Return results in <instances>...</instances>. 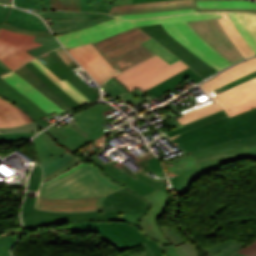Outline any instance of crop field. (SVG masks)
Masks as SVG:
<instances>
[{
  "mask_svg": "<svg viewBox=\"0 0 256 256\" xmlns=\"http://www.w3.org/2000/svg\"><path fill=\"white\" fill-rule=\"evenodd\" d=\"M99 153L86 161L99 167L104 177L123 189L106 196L101 210L73 214L33 209L36 197L29 198L30 192H27L22 210L25 228L38 229L67 222L69 233L97 232L100 239L119 252L143 244L145 252L136 256H165L159 245L171 243L158 229L157 220L170 201L169 189L164 179L155 180L143 173L152 171L164 175L160 161L154 154L139 159L129 153L141 168L133 173L123 166L138 177L135 179L120 167L122 163L110 156L112 160L104 163L97 157Z\"/></svg>",
  "mask_w": 256,
  "mask_h": 256,
  "instance_id": "obj_1",
  "label": "crop field"
},
{
  "mask_svg": "<svg viewBox=\"0 0 256 256\" xmlns=\"http://www.w3.org/2000/svg\"><path fill=\"white\" fill-rule=\"evenodd\" d=\"M179 133L181 135L172 142L193 155L197 162L167 174L180 197L201 175L248 157L256 159V108L231 119L221 110L167 135L171 137Z\"/></svg>",
  "mask_w": 256,
  "mask_h": 256,
  "instance_id": "obj_2",
  "label": "crop field"
},
{
  "mask_svg": "<svg viewBox=\"0 0 256 256\" xmlns=\"http://www.w3.org/2000/svg\"><path fill=\"white\" fill-rule=\"evenodd\" d=\"M217 17H221L219 12L196 13L134 21H124L114 18L82 30L58 35L57 37L66 48H70L90 42L94 43L135 26L162 23L172 36L218 71L232 63L209 45L187 22Z\"/></svg>",
  "mask_w": 256,
  "mask_h": 256,
  "instance_id": "obj_3",
  "label": "crop field"
},
{
  "mask_svg": "<svg viewBox=\"0 0 256 256\" xmlns=\"http://www.w3.org/2000/svg\"><path fill=\"white\" fill-rule=\"evenodd\" d=\"M119 189L85 162L42 184L35 208L64 213L98 210L101 200Z\"/></svg>",
  "mask_w": 256,
  "mask_h": 256,
  "instance_id": "obj_4",
  "label": "crop field"
},
{
  "mask_svg": "<svg viewBox=\"0 0 256 256\" xmlns=\"http://www.w3.org/2000/svg\"><path fill=\"white\" fill-rule=\"evenodd\" d=\"M114 111H116V109L107 104H96L72 115L75 119H77L83 125L88 127V129L94 132L86 138L69 127L66 128L63 132L69 134L70 136L59 142L51 137L46 131L35 137L34 146L36 148L41 166L55 159L57 156L63 154L64 152H67L76 157L64 167L44 177L42 183L64 173L69 168L82 162V159L73 153H75L84 144L111 131L103 123L110 121L105 116L111 114Z\"/></svg>",
  "mask_w": 256,
  "mask_h": 256,
  "instance_id": "obj_5",
  "label": "crop field"
},
{
  "mask_svg": "<svg viewBox=\"0 0 256 256\" xmlns=\"http://www.w3.org/2000/svg\"><path fill=\"white\" fill-rule=\"evenodd\" d=\"M256 71V58L238 64L200 85L206 92ZM229 117L256 107V78L214 97Z\"/></svg>",
  "mask_w": 256,
  "mask_h": 256,
  "instance_id": "obj_6",
  "label": "crop field"
},
{
  "mask_svg": "<svg viewBox=\"0 0 256 256\" xmlns=\"http://www.w3.org/2000/svg\"><path fill=\"white\" fill-rule=\"evenodd\" d=\"M152 38L135 27L94 43L98 51L120 72L155 55L141 43Z\"/></svg>",
  "mask_w": 256,
  "mask_h": 256,
  "instance_id": "obj_7",
  "label": "crop field"
},
{
  "mask_svg": "<svg viewBox=\"0 0 256 256\" xmlns=\"http://www.w3.org/2000/svg\"><path fill=\"white\" fill-rule=\"evenodd\" d=\"M35 35L52 36L50 32L24 30L4 23L0 29V66L9 72L35 58L25 51L31 47L41 45L33 41Z\"/></svg>",
  "mask_w": 256,
  "mask_h": 256,
  "instance_id": "obj_8",
  "label": "crop field"
},
{
  "mask_svg": "<svg viewBox=\"0 0 256 256\" xmlns=\"http://www.w3.org/2000/svg\"><path fill=\"white\" fill-rule=\"evenodd\" d=\"M188 68L180 60L169 65L157 55L116 75L128 91L141 87L147 90L178 72Z\"/></svg>",
  "mask_w": 256,
  "mask_h": 256,
  "instance_id": "obj_9",
  "label": "crop field"
},
{
  "mask_svg": "<svg viewBox=\"0 0 256 256\" xmlns=\"http://www.w3.org/2000/svg\"><path fill=\"white\" fill-rule=\"evenodd\" d=\"M141 28L203 77L207 78L215 74L216 70L172 37L161 24L142 26Z\"/></svg>",
  "mask_w": 256,
  "mask_h": 256,
  "instance_id": "obj_10",
  "label": "crop field"
},
{
  "mask_svg": "<svg viewBox=\"0 0 256 256\" xmlns=\"http://www.w3.org/2000/svg\"><path fill=\"white\" fill-rule=\"evenodd\" d=\"M189 23L209 44L232 63L244 58L217 19Z\"/></svg>",
  "mask_w": 256,
  "mask_h": 256,
  "instance_id": "obj_11",
  "label": "crop field"
},
{
  "mask_svg": "<svg viewBox=\"0 0 256 256\" xmlns=\"http://www.w3.org/2000/svg\"><path fill=\"white\" fill-rule=\"evenodd\" d=\"M37 13L34 10H28ZM42 18L52 17L53 25L50 26L55 35L82 29L99 22L114 18L107 14L77 13L63 11H40L37 13Z\"/></svg>",
  "mask_w": 256,
  "mask_h": 256,
  "instance_id": "obj_12",
  "label": "crop field"
},
{
  "mask_svg": "<svg viewBox=\"0 0 256 256\" xmlns=\"http://www.w3.org/2000/svg\"><path fill=\"white\" fill-rule=\"evenodd\" d=\"M79 63L99 83L118 73L110 63L97 51L92 43L68 49Z\"/></svg>",
  "mask_w": 256,
  "mask_h": 256,
  "instance_id": "obj_13",
  "label": "crop field"
},
{
  "mask_svg": "<svg viewBox=\"0 0 256 256\" xmlns=\"http://www.w3.org/2000/svg\"><path fill=\"white\" fill-rule=\"evenodd\" d=\"M38 59L44 63L54 74L61 80L66 79L82 94H84L91 101L98 97V94L88 87L81 79H79L55 52V50L44 54Z\"/></svg>",
  "mask_w": 256,
  "mask_h": 256,
  "instance_id": "obj_14",
  "label": "crop field"
},
{
  "mask_svg": "<svg viewBox=\"0 0 256 256\" xmlns=\"http://www.w3.org/2000/svg\"><path fill=\"white\" fill-rule=\"evenodd\" d=\"M6 73V71L0 67V74ZM0 96L8 99L13 104L17 105L20 109L27 113L35 123L42 128L50 125L41 118L48 115L38 106L12 88L8 83L0 78Z\"/></svg>",
  "mask_w": 256,
  "mask_h": 256,
  "instance_id": "obj_15",
  "label": "crop field"
},
{
  "mask_svg": "<svg viewBox=\"0 0 256 256\" xmlns=\"http://www.w3.org/2000/svg\"><path fill=\"white\" fill-rule=\"evenodd\" d=\"M1 77L48 114L53 110L58 114L65 112L16 73L12 72Z\"/></svg>",
  "mask_w": 256,
  "mask_h": 256,
  "instance_id": "obj_16",
  "label": "crop field"
},
{
  "mask_svg": "<svg viewBox=\"0 0 256 256\" xmlns=\"http://www.w3.org/2000/svg\"><path fill=\"white\" fill-rule=\"evenodd\" d=\"M195 8L194 0H169L137 5L112 7L111 15L139 14L164 10Z\"/></svg>",
  "mask_w": 256,
  "mask_h": 256,
  "instance_id": "obj_17",
  "label": "crop field"
},
{
  "mask_svg": "<svg viewBox=\"0 0 256 256\" xmlns=\"http://www.w3.org/2000/svg\"><path fill=\"white\" fill-rule=\"evenodd\" d=\"M256 54V14L227 12Z\"/></svg>",
  "mask_w": 256,
  "mask_h": 256,
  "instance_id": "obj_18",
  "label": "crop field"
},
{
  "mask_svg": "<svg viewBox=\"0 0 256 256\" xmlns=\"http://www.w3.org/2000/svg\"><path fill=\"white\" fill-rule=\"evenodd\" d=\"M28 122L32 120L26 113L0 97V128L14 127Z\"/></svg>",
  "mask_w": 256,
  "mask_h": 256,
  "instance_id": "obj_19",
  "label": "crop field"
},
{
  "mask_svg": "<svg viewBox=\"0 0 256 256\" xmlns=\"http://www.w3.org/2000/svg\"><path fill=\"white\" fill-rule=\"evenodd\" d=\"M33 86H35L38 90H40L43 94H45L48 98H50L53 102H55L58 106H60L66 112L72 110L66 103H64L50 88H48L29 68L25 65L18 70L14 71Z\"/></svg>",
  "mask_w": 256,
  "mask_h": 256,
  "instance_id": "obj_20",
  "label": "crop field"
},
{
  "mask_svg": "<svg viewBox=\"0 0 256 256\" xmlns=\"http://www.w3.org/2000/svg\"><path fill=\"white\" fill-rule=\"evenodd\" d=\"M188 78L193 80L196 83L201 82L202 80L201 77H199L197 74H195L192 70L188 68L147 91L153 94L154 96L158 97L170 89L174 91L171 87L183 82ZM174 92L176 94L178 93L176 91Z\"/></svg>",
  "mask_w": 256,
  "mask_h": 256,
  "instance_id": "obj_21",
  "label": "crop field"
},
{
  "mask_svg": "<svg viewBox=\"0 0 256 256\" xmlns=\"http://www.w3.org/2000/svg\"><path fill=\"white\" fill-rule=\"evenodd\" d=\"M221 14L223 18H218V20L239 50L244 54L245 57L254 55V52L251 50L233 22L230 20L226 12H221Z\"/></svg>",
  "mask_w": 256,
  "mask_h": 256,
  "instance_id": "obj_22",
  "label": "crop field"
},
{
  "mask_svg": "<svg viewBox=\"0 0 256 256\" xmlns=\"http://www.w3.org/2000/svg\"><path fill=\"white\" fill-rule=\"evenodd\" d=\"M35 63L48 77H50L58 86H60L66 93L74 98L81 105L90 102L84 95H82L77 89H75L66 80L61 81L56 75H54L44 64H42L37 58L31 60ZM34 64V65H35Z\"/></svg>",
  "mask_w": 256,
  "mask_h": 256,
  "instance_id": "obj_23",
  "label": "crop field"
},
{
  "mask_svg": "<svg viewBox=\"0 0 256 256\" xmlns=\"http://www.w3.org/2000/svg\"><path fill=\"white\" fill-rule=\"evenodd\" d=\"M29 67L48 87H50L63 101H65L72 109L80 106L74 99L59 88L51 79H49L36 65L31 61L25 64Z\"/></svg>",
  "mask_w": 256,
  "mask_h": 256,
  "instance_id": "obj_24",
  "label": "crop field"
},
{
  "mask_svg": "<svg viewBox=\"0 0 256 256\" xmlns=\"http://www.w3.org/2000/svg\"><path fill=\"white\" fill-rule=\"evenodd\" d=\"M197 8H256L249 1H196Z\"/></svg>",
  "mask_w": 256,
  "mask_h": 256,
  "instance_id": "obj_25",
  "label": "crop field"
},
{
  "mask_svg": "<svg viewBox=\"0 0 256 256\" xmlns=\"http://www.w3.org/2000/svg\"><path fill=\"white\" fill-rule=\"evenodd\" d=\"M219 110H221L220 106L217 103L213 102L191 112L183 114L184 117L177 119V121L184 125Z\"/></svg>",
  "mask_w": 256,
  "mask_h": 256,
  "instance_id": "obj_26",
  "label": "crop field"
},
{
  "mask_svg": "<svg viewBox=\"0 0 256 256\" xmlns=\"http://www.w3.org/2000/svg\"><path fill=\"white\" fill-rule=\"evenodd\" d=\"M243 243L229 239L220 244L205 249L211 256H229L236 252Z\"/></svg>",
  "mask_w": 256,
  "mask_h": 256,
  "instance_id": "obj_27",
  "label": "crop field"
},
{
  "mask_svg": "<svg viewBox=\"0 0 256 256\" xmlns=\"http://www.w3.org/2000/svg\"><path fill=\"white\" fill-rule=\"evenodd\" d=\"M160 247L166 256H200V253L190 242L177 247L174 245H165Z\"/></svg>",
  "mask_w": 256,
  "mask_h": 256,
  "instance_id": "obj_28",
  "label": "crop field"
},
{
  "mask_svg": "<svg viewBox=\"0 0 256 256\" xmlns=\"http://www.w3.org/2000/svg\"><path fill=\"white\" fill-rule=\"evenodd\" d=\"M34 40L43 44L41 46L34 47L32 49L27 50L29 53H31L35 57L40 56L50 50H53L61 46L59 42L54 39V37H36L35 36Z\"/></svg>",
  "mask_w": 256,
  "mask_h": 256,
  "instance_id": "obj_29",
  "label": "crop field"
},
{
  "mask_svg": "<svg viewBox=\"0 0 256 256\" xmlns=\"http://www.w3.org/2000/svg\"><path fill=\"white\" fill-rule=\"evenodd\" d=\"M110 8V0H81V11L109 13Z\"/></svg>",
  "mask_w": 256,
  "mask_h": 256,
  "instance_id": "obj_30",
  "label": "crop field"
},
{
  "mask_svg": "<svg viewBox=\"0 0 256 256\" xmlns=\"http://www.w3.org/2000/svg\"><path fill=\"white\" fill-rule=\"evenodd\" d=\"M142 44H144L146 47H148L150 50H152L154 53H156L158 56H160L162 59H164L169 64L178 60V58L176 56H174L167 49L162 47V45L159 44L153 38L142 43Z\"/></svg>",
  "mask_w": 256,
  "mask_h": 256,
  "instance_id": "obj_31",
  "label": "crop field"
},
{
  "mask_svg": "<svg viewBox=\"0 0 256 256\" xmlns=\"http://www.w3.org/2000/svg\"><path fill=\"white\" fill-rule=\"evenodd\" d=\"M73 158H75V157L65 153V154L57 157L52 162L42 166L43 167V171H44V176H46V175L56 171L58 168H60L61 166L65 165L66 163L71 161Z\"/></svg>",
  "mask_w": 256,
  "mask_h": 256,
  "instance_id": "obj_32",
  "label": "crop field"
},
{
  "mask_svg": "<svg viewBox=\"0 0 256 256\" xmlns=\"http://www.w3.org/2000/svg\"><path fill=\"white\" fill-rule=\"evenodd\" d=\"M191 12H196V9L164 11V12L149 13V14L124 15V16H115V17H118V18H121V19H139V18H146V17H156V16H165V15H173V14H181V13H191Z\"/></svg>",
  "mask_w": 256,
  "mask_h": 256,
  "instance_id": "obj_33",
  "label": "crop field"
},
{
  "mask_svg": "<svg viewBox=\"0 0 256 256\" xmlns=\"http://www.w3.org/2000/svg\"><path fill=\"white\" fill-rule=\"evenodd\" d=\"M164 236L172 242L175 246L187 242L183 239L172 227L169 226H158Z\"/></svg>",
  "mask_w": 256,
  "mask_h": 256,
  "instance_id": "obj_34",
  "label": "crop field"
},
{
  "mask_svg": "<svg viewBox=\"0 0 256 256\" xmlns=\"http://www.w3.org/2000/svg\"><path fill=\"white\" fill-rule=\"evenodd\" d=\"M54 10L80 11V0H53Z\"/></svg>",
  "mask_w": 256,
  "mask_h": 256,
  "instance_id": "obj_35",
  "label": "crop field"
},
{
  "mask_svg": "<svg viewBox=\"0 0 256 256\" xmlns=\"http://www.w3.org/2000/svg\"><path fill=\"white\" fill-rule=\"evenodd\" d=\"M41 176H42V171L39 164H37L35 168L32 170L31 177L29 180L28 190L38 191L40 181H41Z\"/></svg>",
  "mask_w": 256,
  "mask_h": 256,
  "instance_id": "obj_36",
  "label": "crop field"
},
{
  "mask_svg": "<svg viewBox=\"0 0 256 256\" xmlns=\"http://www.w3.org/2000/svg\"><path fill=\"white\" fill-rule=\"evenodd\" d=\"M36 133H11V134H0V143L21 141L30 138Z\"/></svg>",
  "mask_w": 256,
  "mask_h": 256,
  "instance_id": "obj_37",
  "label": "crop field"
},
{
  "mask_svg": "<svg viewBox=\"0 0 256 256\" xmlns=\"http://www.w3.org/2000/svg\"><path fill=\"white\" fill-rule=\"evenodd\" d=\"M15 6L27 9H42V0H14Z\"/></svg>",
  "mask_w": 256,
  "mask_h": 256,
  "instance_id": "obj_38",
  "label": "crop field"
},
{
  "mask_svg": "<svg viewBox=\"0 0 256 256\" xmlns=\"http://www.w3.org/2000/svg\"><path fill=\"white\" fill-rule=\"evenodd\" d=\"M18 236L0 238V256H9L8 250Z\"/></svg>",
  "mask_w": 256,
  "mask_h": 256,
  "instance_id": "obj_39",
  "label": "crop field"
},
{
  "mask_svg": "<svg viewBox=\"0 0 256 256\" xmlns=\"http://www.w3.org/2000/svg\"><path fill=\"white\" fill-rule=\"evenodd\" d=\"M42 128H40L38 125H36L34 122L20 125L14 128H4L0 129V132H11V131H40Z\"/></svg>",
  "mask_w": 256,
  "mask_h": 256,
  "instance_id": "obj_40",
  "label": "crop field"
},
{
  "mask_svg": "<svg viewBox=\"0 0 256 256\" xmlns=\"http://www.w3.org/2000/svg\"><path fill=\"white\" fill-rule=\"evenodd\" d=\"M255 77H256V72H254V73H252V74H249V75H247V76H245V77H243V78H240V79H238V80H236V81H234V82H231V83L225 85L227 88H225V89H223V90L221 89V87L217 88V90H219L220 92H222V91H224V90H226V89H229V88H231V87H234V86H236V85H239V84H241V83H244V82H246V81H249V80H251V79H253V78H255Z\"/></svg>",
  "mask_w": 256,
  "mask_h": 256,
  "instance_id": "obj_41",
  "label": "crop field"
},
{
  "mask_svg": "<svg viewBox=\"0 0 256 256\" xmlns=\"http://www.w3.org/2000/svg\"><path fill=\"white\" fill-rule=\"evenodd\" d=\"M51 136H53L56 140H60L68 135L62 133L58 128H56L54 125L49 127L46 130Z\"/></svg>",
  "mask_w": 256,
  "mask_h": 256,
  "instance_id": "obj_42",
  "label": "crop field"
},
{
  "mask_svg": "<svg viewBox=\"0 0 256 256\" xmlns=\"http://www.w3.org/2000/svg\"><path fill=\"white\" fill-rule=\"evenodd\" d=\"M239 253L247 255V256H256V242H254L250 246L246 247Z\"/></svg>",
  "mask_w": 256,
  "mask_h": 256,
  "instance_id": "obj_43",
  "label": "crop field"
},
{
  "mask_svg": "<svg viewBox=\"0 0 256 256\" xmlns=\"http://www.w3.org/2000/svg\"><path fill=\"white\" fill-rule=\"evenodd\" d=\"M56 51L58 52V54L63 58V60L67 63L68 66L72 65L71 62H73V60L70 58V56L66 53V51L63 49V47H60L58 49H56ZM55 51V52H56ZM60 57V58H61ZM65 63V64H66Z\"/></svg>",
  "mask_w": 256,
  "mask_h": 256,
  "instance_id": "obj_44",
  "label": "crop field"
},
{
  "mask_svg": "<svg viewBox=\"0 0 256 256\" xmlns=\"http://www.w3.org/2000/svg\"><path fill=\"white\" fill-rule=\"evenodd\" d=\"M198 12H205V11H247V12H255L256 9H197Z\"/></svg>",
  "mask_w": 256,
  "mask_h": 256,
  "instance_id": "obj_45",
  "label": "crop field"
},
{
  "mask_svg": "<svg viewBox=\"0 0 256 256\" xmlns=\"http://www.w3.org/2000/svg\"><path fill=\"white\" fill-rule=\"evenodd\" d=\"M112 6L132 4V0H111Z\"/></svg>",
  "mask_w": 256,
  "mask_h": 256,
  "instance_id": "obj_46",
  "label": "crop field"
},
{
  "mask_svg": "<svg viewBox=\"0 0 256 256\" xmlns=\"http://www.w3.org/2000/svg\"><path fill=\"white\" fill-rule=\"evenodd\" d=\"M72 129H74L75 131L79 132L80 134H82L83 136H88L83 130H81L76 124L70 126Z\"/></svg>",
  "mask_w": 256,
  "mask_h": 256,
  "instance_id": "obj_47",
  "label": "crop field"
},
{
  "mask_svg": "<svg viewBox=\"0 0 256 256\" xmlns=\"http://www.w3.org/2000/svg\"><path fill=\"white\" fill-rule=\"evenodd\" d=\"M43 9L51 10L50 0H43Z\"/></svg>",
  "mask_w": 256,
  "mask_h": 256,
  "instance_id": "obj_48",
  "label": "crop field"
},
{
  "mask_svg": "<svg viewBox=\"0 0 256 256\" xmlns=\"http://www.w3.org/2000/svg\"><path fill=\"white\" fill-rule=\"evenodd\" d=\"M153 1H161V0H133V4L145 3V2H153Z\"/></svg>",
  "mask_w": 256,
  "mask_h": 256,
  "instance_id": "obj_49",
  "label": "crop field"
},
{
  "mask_svg": "<svg viewBox=\"0 0 256 256\" xmlns=\"http://www.w3.org/2000/svg\"><path fill=\"white\" fill-rule=\"evenodd\" d=\"M81 129H83L88 135L93 133L90 130L86 129V127H84L82 124H80L79 122L76 123Z\"/></svg>",
  "mask_w": 256,
  "mask_h": 256,
  "instance_id": "obj_50",
  "label": "crop field"
},
{
  "mask_svg": "<svg viewBox=\"0 0 256 256\" xmlns=\"http://www.w3.org/2000/svg\"><path fill=\"white\" fill-rule=\"evenodd\" d=\"M1 4L11 5V0H0Z\"/></svg>",
  "mask_w": 256,
  "mask_h": 256,
  "instance_id": "obj_51",
  "label": "crop field"
},
{
  "mask_svg": "<svg viewBox=\"0 0 256 256\" xmlns=\"http://www.w3.org/2000/svg\"><path fill=\"white\" fill-rule=\"evenodd\" d=\"M233 256H244V255H241V254L237 253V254H235Z\"/></svg>",
  "mask_w": 256,
  "mask_h": 256,
  "instance_id": "obj_52",
  "label": "crop field"
},
{
  "mask_svg": "<svg viewBox=\"0 0 256 256\" xmlns=\"http://www.w3.org/2000/svg\"><path fill=\"white\" fill-rule=\"evenodd\" d=\"M70 126L69 124L66 125L65 127H63L62 129H60L61 131L64 130L66 127Z\"/></svg>",
  "mask_w": 256,
  "mask_h": 256,
  "instance_id": "obj_53",
  "label": "crop field"
},
{
  "mask_svg": "<svg viewBox=\"0 0 256 256\" xmlns=\"http://www.w3.org/2000/svg\"><path fill=\"white\" fill-rule=\"evenodd\" d=\"M51 6H52V10H53V2H52V0H51Z\"/></svg>",
  "mask_w": 256,
  "mask_h": 256,
  "instance_id": "obj_54",
  "label": "crop field"
}]
</instances>
